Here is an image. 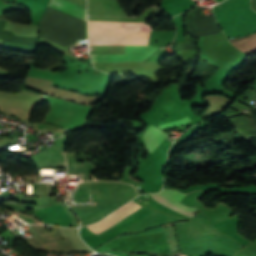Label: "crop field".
Wrapping results in <instances>:
<instances>
[{
  "mask_svg": "<svg viewBox=\"0 0 256 256\" xmlns=\"http://www.w3.org/2000/svg\"><path fill=\"white\" fill-rule=\"evenodd\" d=\"M151 29L145 23L89 21L90 45H147ZM156 47L125 46V55H91L93 62L143 61Z\"/></svg>",
  "mask_w": 256,
  "mask_h": 256,
  "instance_id": "crop-field-1",
  "label": "crop field"
},
{
  "mask_svg": "<svg viewBox=\"0 0 256 256\" xmlns=\"http://www.w3.org/2000/svg\"><path fill=\"white\" fill-rule=\"evenodd\" d=\"M140 207H142V206L131 201V202L127 203L126 205H124L123 207H121L120 209L113 212L112 214H110L109 216H107L101 222L87 226V228L96 233L103 232V231L109 229L110 227H112L114 224H116L118 221H120L124 217L128 216L135 210L139 209Z\"/></svg>",
  "mask_w": 256,
  "mask_h": 256,
  "instance_id": "crop-field-2",
  "label": "crop field"
},
{
  "mask_svg": "<svg viewBox=\"0 0 256 256\" xmlns=\"http://www.w3.org/2000/svg\"><path fill=\"white\" fill-rule=\"evenodd\" d=\"M153 199L157 200L158 202L186 215V216H192L193 214L186 212V211H190L192 213L197 212L199 209H197L196 207L194 208H190L188 206H185L181 203H179L186 195L185 194H181L178 193L177 191H173V190H162L160 193H158L157 195H159L160 197H162L163 199H165L166 201L186 210H181L173 205H171L170 203L166 202L165 200H163L162 198H160L159 196H157L156 194H150Z\"/></svg>",
  "mask_w": 256,
  "mask_h": 256,
  "instance_id": "crop-field-3",
  "label": "crop field"
},
{
  "mask_svg": "<svg viewBox=\"0 0 256 256\" xmlns=\"http://www.w3.org/2000/svg\"><path fill=\"white\" fill-rule=\"evenodd\" d=\"M165 137L166 133L150 125L143 137V141L147 150L152 153Z\"/></svg>",
  "mask_w": 256,
  "mask_h": 256,
  "instance_id": "crop-field-4",
  "label": "crop field"
},
{
  "mask_svg": "<svg viewBox=\"0 0 256 256\" xmlns=\"http://www.w3.org/2000/svg\"><path fill=\"white\" fill-rule=\"evenodd\" d=\"M49 7L86 19V9L64 0H51Z\"/></svg>",
  "mask_w": 256,
  "mask_h": 256,
  "instance_id": "crop-field-5",
  "label": "crop field"
},
{
  "mask_svg": "<svg viewBox=\"0 0 256 256\" xmlns=\"http://www.w3.org/2000/svg\"><path fill=\"white\" fill-rule=\"evenodd\" d=\"M188 122H191V120L188 117H186V118H183V119H181L179 121L168 123V124H164V125H161L159 127L161 129L165 130V129H168V128H173L175 126H181V125H183L185 123H188Z\"/></svg>",
  "mask_w": 256,
  "mask_h": 256,
  "instance_id": "crop-field-6",
  "label": "crop field"
},
{
  "mask_svg": "<svg viewBox=\"0 0 256 256\" xmlns=\"http://www.w3.org/2000/svg\"><path fill=\"white\" fill-rule=\"evenodd\" d=\"M43 248H45V249H56V244L43 245Z\"/></svg>",
  "mask_w": 256,
  "mask_h": 256,
  "instance_id": "crop-field-7",
  "label": "crop field"
}]
</instances>
